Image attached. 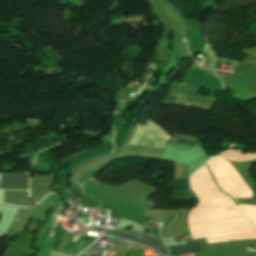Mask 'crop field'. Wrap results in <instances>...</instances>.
<instances>
[{
	"mask_svg": "<svg viewBox=\"0 0 256 256\" xmlns=\"http://www.w3.org/2000/svg\"><path fill=\"white\" fill-rule=\"evenodd\" d=\"M27 174H2L0 189H27Z\"/></svg>",
	"mask_w": 256,
	"mask_h": 256,
	"instance_id": "obj_5",
	"label": "crop field"
},
{
	"mask_svg": "<svg viewBox=\"0 0 256 256\" xmlns=\"http://www.w3.org/2000/svg\"><path fill=\"white\" fill-rule=\"evenodd\" d=\"M184 92L185 90L182 84H176L173 82L164 104L184 105L182 102Z\"/></svg>",
	"mask_w": 256,
	"mask_h": 256,
	"instance_id": "obj_7",
	"label": "crop field"
},
{
	"mask_svg": "<svg viewBox=\"0 0 256 256\" xmlns=\"http://www.w3.org/2000/svg\"><path fill=\"white\" fill-rule=\"evenodd\" d=\"M169 138L157 126L148 121L145 125H136L133 137L128 144L164 149L165 142Z\"/></svg>",
	"mask_w": 256,
	"mask_h": 256,
	"instance_id": "obj_3",
	"label": "crop field"
},
{
	"mask_svg": "<svg viewBox=\"0 0 256 256\" xmlns=\"http://www.w3.org/2000/svg\"><path fill=\"white\" fill-rule=\"evenodd\" d=\"M170 249V255L169 256H175L183 253H188L192 251H203L201 244L197 245H182V246H172L167 245Z\"/></svg>",
	"mask_w": 256,
	"mask_h": 256,
	"instance_id": "obj_11",
	"label": "crop field"
},
{
	"mask_svg": "<svg viewBox=\"0 0 256 256\" xmlns=\"http://www.w3.org/2000/svg\"><path fill=\"white\" fill-rule=\"evenodd\" d=\"M196 67L200 68L199 66H196ZM198 68L194 67L193 69L190 70L189 74H186V76L184 78L186 83H190L193 85H199V86H201L205 89L211 90V91H219V90H221V83H220V80H221L222 90L225 91L224 81L217 73L200 68L206 72H209V73L217 76L220 80L217 77H215L209 73H206ZM187 85L185 84L186 95H187V91H188ZM188 89H189V92H188L187 99H186L187 104L211 108L212 105L214 104V102L217 100L212 97L196 95L197 91L200 89V87H198V86L188 85ZM186 95H185V98H186ZM185 98H184V104H185ZM187 106H189V105H187Z\"/></svg>",
	"mask_w": 256,
	"mask_h": 256,
	"instance_id": "obj_2",
	"label": "crop field"
},
{
	"mask_svg": "<svg viewBox=\"0 0 256 256\" xmlns=\"http://www.w3.org/2000/svg\"><path fill=\"white\" fill-rule=\"evenodd\" d=\"M170 182L177 200H188L194 198L188 186L187 179L170 180Z\"/></svg>",
	"mask_w": 256,
	"mask_h": 256,
	"instance_id": "obj_6",
	"label": "crop field"
},
{
	"mask_svg": "<svg viewBox=\"0 0 256 256\" xmlns=\"http://www.w3.org/2000/svg\"><path fill=\"white\" fill-rule=\"evenodd\" d=\"M6 203H18L28 205L27 191H5V201Z\"/></svg>",
	"mask_w": 256,
	"mask_h": 256,
	"instance_id": "obj_8",
	"label": "crop field"
},
{
	"mask_svg": "<svg viewBox=\"0 0 256 256\" xmlns=\"http://www.w3.org/2000/svg\"><path fill=\"white\" fill-rule=\"evenodd\" d=\"M167 143L182 145L190 148L196 145L200 146L198 139L186 137V136H180V135L173 136L171 139L168 140Z\"/></svg>",
	"mask_w": 256,
	"mask_h": 256,
	"instance_id": "obj_10",
	"label": "crop field"
},
{
	"mask_svg": "<svg viewBox=\"0 0 256 256\" xmlns=\"http://www.w3.org/2000/svg\"><path fill=\"white\" fill-rule=\"evenodd\" d=\"M227 159L237 162H243L251 159H256V153L242 154L241 150H229L221 153Z\"/></svg>",
	"mask_w": 256,
	"mask_h": 256,
	"instance_id": "obj_9",
	"label": "crop field"
},
{
	"mask_svg": "<svg viewBox=\"0 0 256 256\" xmlns=\"http://www.w3.org/2000/svg\"><path fill=\"white\" fill-rule=\"evenodd\" d=\"M190 183L199 199L188 216L192 239L205 237L210 243L256 238L244 210L216 187L205 165L191 175Z\"/></svg>",
	"mask_w": 256,
	"mask_h": 256,
	"instance_id": "obj_1",
	"label": "crop field"
},
{
	"mask_svg": "<svg viewBox=\"0 0 256 256\" xmlns=\"http://www.w3.org/2000/svg\"><path fill=\"white\" fill-rule=\"evenodd\" d=\"M108 233L110 235L119 236L127 239H131L146 245H149L165 256L168 254V249L164 244L159 240V238L153 233H140L134 231H127L125 229L112 230L109 229Z\"/></svg>",
	"mask_w": 256,
	"mask_h": 256,
	"instance_id": "obj_4",
	"label": "crop field"
}]
</instances>
